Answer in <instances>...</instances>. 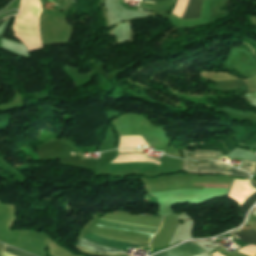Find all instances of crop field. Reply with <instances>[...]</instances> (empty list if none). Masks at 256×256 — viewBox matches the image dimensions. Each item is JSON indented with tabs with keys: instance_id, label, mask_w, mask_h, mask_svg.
<instances>
[{
	"instance_id": "obj_10",
	"label": "crop field",
	"mask_w": 256,
	"mask_h": 256,
	"mask_svg": "<svg viewBox=\"0 0 256 256\" xmlns=\"http://www.w3.org/2000/svg\"><path fill=\"white\" fill-rule=\"evenodd\" d=\"M191 156L217 157L215 154H191Z\"/></svg>"
},
{
	"instance_id": "obj_6",
	"label": "crop field",
	"mask_w": 256,
	"mask_h": 256,
	"mask_svg": "<svg viewBox=\"0 0 256 256\" xmlns=\"http://www.w3.org/2000/svg\"><path fill=\"white\" fill-rule=\"evenodd\" d=\"M235 235H237L241 239V241H243V242L256 245V231H254V230L235 233ZM218 252L225 255L224 253H222L220 251H218ZM225 256H227V255H225Z\"/></svg>"
},
{
	"instance_id": "obj_5",
	"label": "crop field",
	"mask_w": 256,
	"mask_h": 256,
	"mask_svg": "<svg viewBox=\"0 0 256 256\" xmlns=\"http://www.w3.org/2000/svg\"><path fill=\"white\" fill-rule=\"evenodd\" d=\"M201 0H188V4L184 13V19L196 18L200 16Z\"/></svg>"
},
{
	"instance_id": "obj_12",
	"label": "crop field",
	"mask_w": 256,
	"mask_h": 256,
	"mask_svg": "<svg viewBox=\"0 0 256 256\" xmlns=\"http://www.w3.org/2000/svg\"><path fill=\"white\" fill-rule=\"evenodd\" d=\"M251 97L256 98V93H254Z\"/></svg>"
},
{
	"instance_id": "obj_2",
	"label": "crop field",
	"mask_w": 256,
	"mask_h": 256,
	"mask_svg": "<svg viewBox=\"0 0 256 256\" xmlns=\"http://www.w3.org/2000/svg\"><path fill=\"white\" fill-rule=\"evenodd\" d=\"M96 228H100V229H103V230H106V231H110V232H115V233L128 234V235H134V236H141V237H147V238H151L153 236L152 234L128 231V230L111 228V227H105V226H99V225H96ZM84 238H86V239H88V240H90L92 242H95L97 244L105 245L107 247L116 248V249H120V250H126L127 247L137 248V246H138V245L124 243V242L106 240V239L100 238V237L92 235V234H90V235H88V236H86ZM88 240H85V239L82 238L79 241L78 244H80L83 247H86V248H89L91 250H94L96 252H107V253H119V252H121L119 250H115V249L107 248L105 246L97 245V244L92 243V242H90Z\"/></svg>"
},
{
	"instance_id": "obj_13",
	"label": "crop field",
	"mask_w": 256,
	"mask_h": 256,
	"mask_svg": "<svg viewBox=\"0 0 256 256\" xmlns=\"http://www.w3.org/2000/svg\"><path fill=\"white\" fill-rule=\"evenodd\" d=\"M144 138V137H143ZM119 141H120V137H119ZM149 145V144H148ZM150 146V145H149ZM119 147V146H118Z\"/></svg>"
},
{
	"instance_id": "obj_8",
	"label": "crop field",
	"mask_w": 256,
	"mask_h": 256,
	"mask_svg": "<svg viewBox=\"0 0 256 256\" xmlns=\"http://www.w3.org/2000/svg\"><path fill=\"white\" fill-rule=\"evenodd\" d=\"M242 162H243V164H242V166H240V168L243 170L249 171L250 174L253 175V173L256 169V163L248 162V161H244V160H242Z\"/></svg>"
},
{
	"instance_id": "obj_11",
	"label": "crop field",
	"mask_w": 256,
	"mask_h": 256,
	"mask_svg": "<svg viewBox=\"0 0 256 256\" xmlns=\"http://www.w3.org/2000/svg\"><path fill=\"white\" fill-rule=\"evenodd\" d=\"M149 1H160V0H143V2H149Z\"/></svg>"
},
{
	"instance_id": "obj_1",
	"label": "crop field",
	"mask_w": 256,
	"mask_h": 256,
	"mask_svg": "<svg viewBox=\"0 0 256 256\" xmlns=\"http://www.w3.org/2000/svg\"><path fill=\"white\" fill-rule=\"evenodd\" d=\"M28 2H29V7L33 12V14L39 17L41 13L39 0H28ZM28 2L27 0L20 1V6L18 8L20 13L15 16L18 18H22V19H26V20L38 23L39 19L36 18L31 13L28 7ZM18 18H16V21H15V26H14L15 32L20 34H25V35L40 36L37 23L29 22L26 20L18 19ZM14 35L17 36L27 46L29 52L43 48L41 46L40 37L25 36V35H19L15 33Z\"/></svg>"
},
{
	"instance_id": "obj_7",
	"label": "crop field",
	"mask_w": 256,
	"mask_h": 256,
	"mask_svg": "<svg viewBox=\"0 0 256 256\" xmlns=\"http://www.w3.org/2000/svg\"><path fill=\"white\" fill-rule=\"evenodd\" d=\"M238 179V178H234ZM244 180V179H238ZM256 201V192L244 203L240 206L241 214L239 216L244 217L246 211L251 207V205Z\"/></svg>"
},
{
	"instance_id": "obj_9",
	"label": "crop field",
	"mask_w": 256,
	"mask_h": 256,
	"mask_svg": "<svg viewBox=\"0 0 256 256\" xmlns=\"http://www.w3.org/2000/svg\"><path fill=\"white\" fill-rule=\"evenodd\" d=\"M5 252L11 253V254H14V255H17V256H31V255H28L26 253L20 252L18 250L12 249V248L7 247V246L5 247Z\"/></svg>"
},
{
	"instance_id": "obj_4",
	"label": "crop field",
	"mask_w": 256,
	"mask_h": 256,
	"mask_svg": "<svg viewBox=\"0 0 256 256\" xmlns=\"http://www.w3.org/2000/svg\"><path fill=\"white\" fill-rule=\"evenodd\" d=\"M204 252L201 248L194 244H184L182 246L161 252L155 256H194Z\"/></svg>"
},
{
	"instance_id": "obj_3",
	"label": "crop field",
	"mask_w": 256,
	"mask_h": 256,
	"mask_svg": "<svg viewBox=\"0 0 256 256\" xmlns=\"http://www.w3.org/2000/svg\"><path fill=\"white\" fill-rule=\"evenodd\" d=\"M197 173H218L249 177L248 174L219 162H209V168H197Z\"/></svg>"
}]
</instances>
